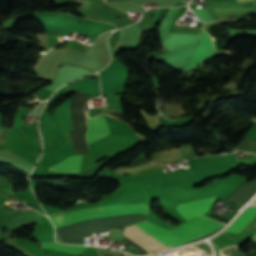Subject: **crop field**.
<instances>
[{
	"mask_svg": "<svg viewBox=\"0 0 256 256\" xmlns=\"http://www.w3.org/2000/svg\"><path fill=\"white\" fill-rule=\"evenodd\" d=\"M216 197L185 202L177 205L178 212L187 220L206 212Z\"/></svg>",
	"mask_w": 256,
	"mask_h": 256,
	"instance_id": "crop-field-4",
	"label": "crop field"
},
{
	"mask_svg": "<svg viewBox=\"0 0 256 256\" xmlns=\"http://www.w3.org/2000/svg\"><path fill=\"white\" fill-rule=\"evenodd\" d=\"M82 155H72L58 164L50 166L49 171L62 173H78Z\"/></svg>",
	"mask_w": 256,
	"mask_h": 256,
	"instance_id": "crop-field-6",
	"label": "crop field"
},
{
	"mask_svg": "<svg viewBox=\"0 0 256 256\" xmlns=\"http://www.w3.org/2000/svg\"><path fill=\"white\" fill-rule=\"evenodd\" d=\"M6 219L9 226L19 225L29 222H34L42 214L36 211H27V212H16V211H7L5 212Z\"/></svg>",
	"mask_w": 256,
	"mask_h": 256,
	"instance_id": "crop-field-7",
	"label": "crop field"
},
{
	"mask_svg": "<svg viewBox=\"0 0 256 256\" xmlns=\"http://www.w3.org/2000/svg\"><path fill=\"white\" fill-rule=\"evenodd\" d=\"M88 74H91V72L82 68L63 65L60 67L57 75L53 78L52 83L45 87L51 91H55L60 86L74 80L75 78Z\"/></svg>",
	"mask_w": 256,
	"mask_h": 256,
	"instance_id": "crop-field-3",
	"label": "crop field"
},
{
	"mask_svg": "<svg viewBox=\"0 0 256 256\" xmlns=\"http://www.w3.org/2000/svg\"><path fill=\"white\" fill-rule=\"evenodd\" d=\"M215 53L211 38L202 30L197 45L191 59L187 63L183 71L196 67L197 64H202L206 59L210 58Z\"/></svg>",
	"mask_w": 256,
	"mask_h": 256,
	"instance_id": "crop-field-2",
	"label": "crop field"
},
{
	"mask_svg": "<svg viewBox=\"0 0 256 256\" xmlns=\"http://www.w3.org/2000/svg\"><path fill=\"white\" fill-rule=\"evenodd\" d=\"M148 208L149 206L142 202L97 205L80 208L50 219L55 226V229H57L93 219L111 216L147 214ZM135 226L169 249L213 233L223 227L220 222L204 215L181 224L171 230L149 221L136 224Z\"/></svg>",
	"mask_w": 256,
	"mask_h": 256,
	"instance_id": "crop-field-1",
	"label": "crop field"
},
{
	"mask_svg": "<svg viewBox=\"0 0 256 256\" xmlns=\"http://www.w3.org/2000/svg\"><path fill=\"white\" fill-rule=\"evenodd\" d=\"M200 30L201 28H198V27L180 26V25L174 26V31H179V32L199 33Z\"/></svg>",
	"mask_w": 256,
	"mask_h": 256,
	"instance_id": "crop-field-11",
	"label": "crop field"
},
{
	"mask_svg": "<svg viewBox=\"0 0 256 256\" xmlns=\"http://www.w3.org/2000/svg\"><path fill=\"white\" fill-rule=\"evenodd\" d=\"M256 207L248 206L246 210L240 215V217L225 231L240 233L244 227L255 217Z\"/></svg>",
	"mask_w": 256,
	"mask_h": 256,
	"instance_id": "crop-field-8",
	"label": "crop field"
},
{
	"mask_svg": "<svg viewBox=\"0 0 256 256\" xmlns=\"http://www.w3.org/2000/svg\"><path fill=\"white\" fill-rule=\"evenodd\" d=\"M255 241H256V237H255V239H254Z\"/></svg>",
	"mask_w": 256,
	"mask_h": 256,
	"instance_id": "crop-field-14",
	"label": "crop field"
},
{
	"mask_svg": "<svg viewBox=\"0 0 256 256\" xmlns=\"http://www.w3.org/2000/svg\"><path fill=\"white\" fill-rule=\"evenodd\" d=\"M40 245L41 247L59 249L69 253H79L89 247V246H79V245H60L55 242H44V243H41Z\"/></svg>",
	"mask_w": 256,
	"mask_h": 256,
	"instance_id": "crop-field-10",
	"label": "crop field"
},
{
	"mask_svg": "<svg viewBox=\"0 0 256 256\" xmlns=\"http://www.w3.org/2000/svg\"><path fill=\"white\" fill-rule=\"evenodd\" d=\"M198 35L173 33L162 44H196Z\"/></svg>",
	"mask_w": 256,
	"mask_h": 256,
	"instance_id": "crop-field-9",
	"label": "crop field"
},
{
	"mask_svg": "<svg viewBox=\"0 0 256 256\" xmlns=\"http://www.w3.org/2000/svg\"><path fill=\"white\" fill-rule=\"evenodd\" d=\"M83 115H84V107H83ZM84 120H85V115H84Z\"/></svg>",
	"mask_w": 256,
	"mask_h": 256,
	"instance_id": "crop-field-12",
	"label": "crop field"
},
{
	"mask_svg": "<svg viewBox=\"0 0 256 256\" xmlns=\"http://www.w3.org/2000/svg\"><path fill=\"white\" fill-rule=\"evenodd\" d=\"M105 118L98 116L96 118H88L87 142H92L100 137L109 134Z\"/></svg>",
	"mask_w": 256,
	"mask_h": 256,
	"instance_id": "crop-field-5",
	"label": "crop field"
},
{
	"mask_svg": "<svg viewBox=\"0 0 256 256\" xmlns=\"http://www.w3.org/2000/svg\"><path fill=\"white\" fill-rule=\"evenodd\" d=\"M239 1H248V0H239Z\"/></svg>",
	"mask_w": 256,
	"mask_h": 256,
	"instance_id": "crop-field-13",
	"label": "crop field"
}]
</instances>
